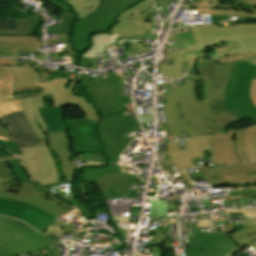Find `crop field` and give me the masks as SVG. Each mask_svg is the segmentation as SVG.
Segmentation results:
<instances>
[{"mask_svg": "<svg viewBox=\"0 0 256 256\" xmlns=\"http://www.w3.org/2000/svg\"><path fill=\"white\" fill-rule=\"evenodd\" d=\"M250 96H251V101L256 106V80H252V85L250 88Z\"/></svg>", "mask_w": 256, "mask_h": 256, "instance_id": "46", "label": "crop field"}, {"mask_svg": "<svg viewBox=\"0 0 256 256\" xmlns=\"http://www.w3.org/2000/svg\"><path fill=\"white\" fill-rule=\"evenodd\" d=\"M0 61H11V58H0Z\"/></svg>", "mask_w": 256, "mask_h": 256, "instance_id": "62", "label": "crop field"}, {"mask_svg": "<svg viewBox=\"0 0 256 256\" xmlns=\"http://www.w3.org/2000/svg\"><path fill=\"white\" fill-rule=\"evenodd\" d=\"M30 64H37L36 61L24 59L23 67H15V59L12 58V66H8L13 72L15 81L13 87L39 83L50 80L47 70L36 72L34 68L28 67Z\"/></svg>", "mask_w": 256, "mask_h": 256, "instance_id": "19", "label": "crop field"}, {"mask_svg": "<svg viewBox=\"0 0 256 256\" xmlns=\"http://www.w3.org/2000/svg\"><path fill=\"white\" fill-rule=\"evenodd\" d=\"M254 156H255V160H256V153H255V155H254Z\"/></svg>", "mask_w": 256, "mask_h": 256, "instance_id": "67", "label": "crop field"}, {"mask_svg": "<svg viewBox=\"0 0 256 256\" xmlns=\"http://www.w3.org/2000/svg\"><path fill=\"white\" fill-rule=\"evenodd\" d=\"M0 197L16 200V201H20V202L30 203V204L37 206L45 211L50 212L58 217H60L61 215L63 216L68 211V210L60 208L46 200L17 194V192L0 190Z\"/></svg>", "mask_w": 256, "mask_h": 256, "instance_id": "23", "label": "crop field"}, {"mask_svg": "<svg viewBox=\"0 0 256 256\" xmlns=\"http://www.w3.org/2000/svg\"><path fill=\"white\" fill-rule=\"evenodd\" d=\"M139 117L142 124L153 122V114H140Z\"/></svg>", "mask_w": 256, "mask_h": 256, "instance_id": "48", "label": "crop field"}, {"mask_svg": "<svg viewBox=\"0 0 256 256\" xmlns=\"http://www.w3.org/2000/svg\"><path fill=\"white\" fill-rule=\"evenodd\" d=\"M1 243H2V241H0V244ZM0 256H18V255L16 253H14L13 251L0 245Z\"/></svg>", "mask_w": 256, "mask_h": 256, "instance_id": "47", "label": "crop field"}, {"mask_svg": "<svg viewBox=\"0 0 256 256\" xmlns=\"http://www.w3.org/2000/svg\"><path fill=\"white\" fill-rule=\"evenodd\" d=\"M229 235L240 247H243L247 243L256 239V227L240 229L230 233Z\"/></svg>", "mask_w": 256, "mask_h": 256, "instance_id": "32", "label": "crop field"}, {"mask_svg": "<svg viewBox=\"0 0 256 256\" xmlns=\"http://www.w3.org/2000/svg\"><path fill=\"white\" fill-rule=\"evenodd\" d=\"M8 163H9V165L12 167V169H13V171H14L16 177H17V179H18L20 182L34 183V182H32L30 179H28V178L24 175V173H23V171H22V169H21V167H20V165H19V163H18L17 160L8 161Z\"/></svg>", "mask_w": 256, "mask_h": 256, "instance_id": "34", "label": "crop field"}, {"mask_svg": "<svg viewBox=\"0 0 256 256\" xmlns=\"http://www.w3.org/2000/svg\"><path fill=\"white\" fill-rule=\"evenodd\" d=\"M209 147L214 165H233L239 164L234 147V130H229L227 135L217 133L208 136Z\"/></svg>", "mask_w": 256, "mask_h": 256, "instance_id": "15", "label": "crop field"}, {"mask_svg": "<svg viewBox=\"0 0 256 256\" xmlns=\"http://www.w3.org/2000/svg\"><path fill=\"white\" fill-rule=\"evenodd\" d=\"M73 214H75L78 219L82 218L81 214L78 211H73Z\"/></svg>", "mask_w": 256, "mask_h": 256, "instance_id": "60", "label": "crop field"}, {"mask_svg": "<svg viewBox=\"0 0 256 256\" xmlns=\"http://www.w3.org/2000/svg\"><path fill=\"white\" fill-rule=\"evenodd\" d=\"M141 0H100L97 11L73 25L75 49L83 53L89 49L90 38L97 33H107L115 25L120 12L133 7ZM91 20V21H89Z\"/></svg>", "mask_w": 256, "mask_h": 256, "instance_id": "5", "label": "crop field"}, {"mask_svg": "<svg viewBox=\"0 0 256 256\" xmlns=\"http://www.w3.org/2000/svg\"><path fill=\"white\" fill-rule=\"evenodd\" d=\"M253 79H256V73H255V75H254V78Z\"/></svg>", "mask_w": 256, "mask_h": 256, "instance_id": "65", "label": "crop field"}, {"mask_svg": "<svg viewBox=\"0 0 256 256\" xmlns=\"http://www.w3.org/2000/svg\"><path fill=\"white\" fill-rule=\"evenodd\" d=\"M0 143L4 144L5 147H7V148H8L11 152H13L14 154L20 153V151H19V149H18L16 143L4 141V140H0Z\"/></svg>", "mask_w": 256, "mask_h": 256, "instance_id": "43", "label": "crop field"}, {"mask_svg": "<svg viewBox=\"0 0 256 256\" xmlns=\"http://www.w3.org/2000/svg\"><path fill=\"white\" fill-rule=\"evenodd\" d=\"M168 154V152L167 151H164V152H161V155H167ZM169 157H170V155H169ZM159 161V163H160V166H161V168L162 169H165V168H169V167H173L174 166V164H173V162H172V160H171V157H170V159H162V160H158ZM176 168V167H175ZM177 170V169H176ZM178 172V171H177Z\"/></svg>", "mask_w": 256, "mask_h": 256, "instance_id": "42", "label": "crop field"}, {"mask_svg": "<svg viewBox=\"0 0 256 256\" xmlns=\"http://www.w3.org/2000/svg\"><path fill=\"white\" fill-rule=\"evenodd\" d=\"M47 229V228H46ZM65 230H63V229H60V228H58L57 226L55 227V228H53V227H49L47 230H45V231H43V233H45V234H49V235H53V236H58V235H60L61 233H63Z\"/></svg>", "mask_w": 256, "mask_h": 256, "instance_id": "44", "label": "crop field"}, {"mask_svg": "<svg viewBox=\"0 0 256 256\" xmlns=\"http://www.w3.org/2000/svg\"><path fill=\"white\" fill-rule=\"evenodd\" d=\"M235 147L242 163L254 161L253 152L256 150V125L235 130Z\"/></svg>", "mask_w": 256, "mask_h": 256, "instance_id": "18", "label": "crop field"}, {"mask_svg": "<svg viewBox=\"0 0 256 256\" xmlns=\"http://www.w3.org/2000/svg\"><path fill=\"white\" fill-rule=\"evenodd\" d=\"M177 219H178V217L171 218V219H168V220L163 221L162 223H163L164 226H165V225H169V224H172V223H176V222H177Z\"/></svg>", "mask_w": 256, "mask_h": 256, "instance_id": "53", "label": "crop field"}, {"mask_svg": "<svg viewBox=\"0 0 256 256\" xmlns=\"http://www.w3.org/2000/svg\"><path fill=\"white\" fill-rule=\"evenodd\" d=\"M171 0H155L156 7H166Z\"/></svg>", "mask_w": 256, "mask_h": 256, "instance_id": "50", "label": "crop field"}, {"mask_svg": "<svg viewBox=\"0 0 256 256\" xmlns=\"http://www.w3.org/2000/svg\"><path fill=\"white\" fill-rule=\"evenodd\" d=\"M44 108H39L40 114L50 132L68 130L62 107H46L45 97L42 96Z\"/></svg>", "mask_w": 256, "mask_h": 256, "instance_id": "22", "label": "crop field"}, {"mask_svg": "<svg viewBox=\"0 0 256 256\" xmlns=\"http://www.w3.org/2000/svg\"><path fill=\"white\" fill-rule=\"evenodd\" d=\"M111 74L107 76L106 81L81 82L89 98L103 116L107 113L123 111L122 103L131 102L128 98L131 96H121L120 79L116 77L113 70ZM138 130H141L138 121H134L130 115L105 119V122L100 125L99 133L110 163H116L123 149L135 138L122 139L121 135Z\"/></svg>", "mask_w": 256, "mask_h": 256, "instance_id": "3", "label": "crop field"}, {"mask_svg": "<svg viewBox=\"0 0 256 256\" xmlns=\"http://www.w3.org/2000/svg\"><path fill=\"white\" fill-rule=\"evenodd\" d=\"M186 29L188 32L168 37L177 41L178 51L168 53L167 57L173 58V66L160 64L161 76L181 78L182 63H188L192 69L199 56H206L213 62L246 59L256 64V24L223 28L192 26Z\"/></svg>", "mask_w": 256, "mask_h": 256, "instance_id": "2", "label": "crop field"}, {"mask_svg": "<svg viewBox=\"0 0 256 256\" xmlns=\"http://www.w3.org/2000/svg\"><path fill=\"white\" fill-rule=\"evenodd\" d=\"M39 43L35 35L32 36H0V56L11 57V50L35 51Z\"/></svg>", "mask_w": 256, "mask_h": 256, "instance_id": "20", "label": "crop field"}, {"mask_svg": "<svg viewBox=\"0 0 256 256\" xmlns=\"http://www.w3.org/2000/svg\"><path fill=\"white\" fill-rule=\"evenodd\" d=\"M68 3L73 7L74 12L78 15V20L82 19L88 13L96 10L99 0H60Z\"/></svg>", "mask_w": 256, "mask_h": 256, "instance_id": "30", "label": "crop field"}, {"mask_svg": "<svg viewBox=\"0 0 256 256\" xmlns=\"http://www.w3.org/2000/svg\"><path fill=\"white\" fill-rule=\"evenodd\" d=\"M0 214L21 219L40 232L48 228L50 225L54 227L57 225L60 228L78 235L74 228L58 221V217L53 216L30 204L0 198Z\"/></svg>", "mask_w": 256, "mask_h": 256, "instance_id": "7", "label": "crop field"}, {"mask_svg": "<svg viewBox=\"0 0 256 256\" xmlns=\"http://www.w3.org/2000/svg\"><path fill=\"white\" fill-rule=\"evenodd\" d=\"M121 34H97L92 36L91 42L92 46L91 48L86 51L85 53L82 54V57H87V58H99L103 59L100 57H97V53H105V48L106 46H112L117 40V38Z\"/></svg>", "mask_w": 256, "mask_h": 256, "instance_id": "26", "label": "crop field"}, {"mask_svg": "<svg viewBox=\"0 0 256 256\" xmlns=\"http://www.w3.org/2000/svg\"><path fill=\"white\" fill-rule=\"evenodd\" d=\"M89 166H98V167H101V166H105V164H98V163H91V162H88V163H86L85 165H82L81 167L84 168V167H89Z\"/></svg>", "mask_w": 256, "mask_h": 256, "instance_id": "55", "label": "crop field"}, {"mask_svg": "<svg viewBox=\"0 0 256 256\" xmlns=\"http://www.w3.org/2000/svg\"><path fill=\"white\" fill-rule=\"evenodd\" d=\"M72 141V153L103 152L96 132L98 123L88 119H66Z\"/></svg>", "mask_w": 256, "mask_h": 256, "instance_id": "12", "label": "crop field"}, {"mask_svg": "<svg viewBox=\"0 0 256 256\" xmlns=\"http://www.w3.org/2000/svg\"><path fill=\"white\" fill-rule=\"evenodd\" d=\"M179 174L188 186L193 185L184 172H181Z\"/></svg>", "mask_w": 256, "mask_h": 256, "instance_id": "52", "label": "crop field"}, {"mask_svg": "<svg viewBox=\"0 0 256 256\" xmlns=\"http://www.w3.org/2000/svg\"><path fill=\"white\" fill-rule=\"evenodd\" d=\"M16 159L15 157L9 156V157H1L0 161H4V160H14Z\"/></svg>", "mask_w": 256, "mask_h": 256, "instance_id": "59", "label": "crop field"}, {"mask_svg": "<svg viewBox=\"0 0 256 256\" xmlns=\"http://www.w3.org/2000/svg\"><path fill=\"white\" fill-rule=\"evenodd\" d=\"M55 43H65L66 48H62V52H74L73 49L71 48V43L69 39H52V40H47V45L50 44H55ZM49 58H54L57 59L58 53H51L48 54Z\"/></svg>", "mask_w": 256, "mask_h": 256, "instance_id": "35", "label": "crop field"}, {"mask_svg": "<svg viewBox=\"0 0 256 256\" xmlns=\"http://www.w3.org/2000/svg\"><path fill=\"white\" fill-rule=\"evenodd\" d=\"M11 62H0V116L23 110L19 100H14L12 92L42 87V83L12 88L13 75L8 67Z\"/></svg>", "mask_w": 256, "mask_h": 256, "instance_id": "13", "label": "crop field"}, {"mask_svg": "<svg viewBox=\"0 0 256 256\" xmlns=\"http://www.w3.org/2000/svg\"><path fill=\"white\" fill-rule=\"evenodd\" d=\"M241 1H243L247 5L256 6V0H241Z\"/></svg>", "mask_w": 256, "mask_h": 256, "instance_id": "56", "label": "crop field"}, {"mask_svg": "<svg viewBox=\"0 0 256 256\" xmlns=\"http://www.w3.org/2000/svg\"><path fill=\"white\" fill-rule=\"evenodd\" d=\"M67 82L68 80H55L44 84V94L53 93L54 106L63 105Z\"/></svg>", "mask_w": 256, "mask_h": 256, "instance_id": "29", "label": "crop field"}, {"mask_svg": "<svg viewBox=\"0 0 256 256\" xmlns=\"http://www.w3.org/2000/svg\"><path fill=\"white\" fill-rule=\"evenodd\" d=\"M239 247L225 234L195 233L186 256H232Z\"/></svg>", "mask_w": 256, "mask_h": 256, "instance_id": "10", "label": "crop field"}, {"mask_svg": "<svg viewBox=\"0 0 256 256\" xmlns=\"http://www.w3.org/2000/svg\"><path fill=\"white\" fill-rule=\"evenodd\" d=\"M256 196V191H248V192H230L231 200L243 199L246 197Z\"/></svg>", "mask_w": 256, "mask_h": 256, "instance_id": "39", "label": "crop field"}, {"mask_svg": "<svg viewBox=\"0 0 256 256\" xmlns=\"http://www.w3.org/2000/svg\"><path fill=\"white\" fill-rule=\"evenodd\" d=\"M73 210H75L74 207H73L68 213H66L65 215L69 214V213H70L71 211H73ZM65 215H64V216H65ZM64 216H63V217H64Z\"/></svg>", "mask_w": 256, "mask_h": 256, "instance_id": "63", "label": "crop field"}, {"mask_svg": "<svg viewBox=\"0 0 256 256\" xmlns=\"http://www.w3.org/2000/svg\"><path fill=\"white\" fill-rule=\"evenodd\" d=\"M45 97H46L47 106H50V105H49V100H52V99H53L52 94L45 95Z\"/></svg>", "mask_w": 256, "mask_h": 256, "instance_id": "58", "label": "crop field"}, {"mask_svg": "<svg viewBox=\"0 0 256 256\" xmlns=\"http://www.w3.org/2000/svg\"><path fill=\"white\" fill-rule=\"evenodd\" d=\"M151 256H159V255H154V254H152Z\"/></svg>", "mask_w": 256, "mask_h": 256, "instance_id": "66", "label": "crop field"}, {"mask_svg": "<svg viewBox=\"0 0 256 256\" xmlns=\"http://www.w3.org/2000/svg\"><path fill=\"white\" fill-rule=\"evenodd\" d=\"M0 121L14 137L19 147L40 145L24 118L23 111L0 117Z\"/></svg>", "mask_w": 256, "mask_h": 256, "instance_id": "16", "label": "crop field"}, {"mask_svg": "<svg viewBox=\"0 0 256 256\" xmlns=\"http://www.w3.org/2000/svg\"><path fill=\"white\" fill-rule=\"evenodd\" d=\"M249 245L256 249V240H254L253 242L249 243Z\"/></svg>", "mask_w": 256, "mask_h": 256, "instance_id": "61", "label": "crop field"}, {"mask_svg": "<svg viewBox=\"0 0 256 256\" xmlns=\"http://www.w3.org/2000/svg\"><path fill=\"white\" fill-rule=\"evenodd\" d=\"M223 175H233L256 171V162L230 166V167H220ZM249 183L256 186V173L248 175Z\"/></svg>", "mask_w": 256, "mask_h": 256, "instance_id": "31", "label": "crop field"}, {"mask_svg": "<svg viewBox=\"0 0 256 256\" xmlns=\"http://www.w3.org/2000/svg\"><path fill=\"white\" fill-rule=\"evenodd\" d=\"M19 183L7 161L0 162V189L17 191Z\"/></svg>", "mask_w": 256, "mask_h": 256, "instance_id": "27", "label": "crop field"}, {"mask_svg": "<svg viewBox=\"0 0 256 256\" xmlns=\"http://www.w3.org/2000/svg\"><path fill=\"white\" fill-rule=\"evenodd\" d=\"M136 179L142 178L136 175L110 174L96 184L105 199H119L126 198L125 191L135 183Z\"/></svg>", "mask_w": 256, "mask_h": 256, "instance_id": "17", "label": "crop field"}, {"mask_svg": "<svg viewBox=\"0 0 256 256\" xmlns=\"http://www.w3.org/2000/svg\"><path fill=\"white\" fill-rule=\"evenodd\" d=\"M25 117L39 139L41 146L20 148L21 155H16L26 174L45 187L58 183L55 164L47 146L44 133H48L37 107H43L41 96L20 100Z\"/></svg>", "mask_w": 256, "mask_h": 256, "instance_id": "4", "label": "crop field"}, {"mask_svg": "<svg viewBox=\"0 0 256 256\" xmlns=\"http://www.w3.org/2000/svg\"><path fill=\"white\" fill-rule=\"evenodd\" d=\"M221 212H226V213H232L240 216H245V217H255L256 218V209H238V210H224Z\"/></svg>", "mask_w": 256, "mask_h": 256, "instance_id": "36", "label": "crop field"}, {"mask_svg": "<svg viewBox=\"0 0 256 256\" xmlns=\"http://www.w3.org/2000/svg\"><path fill=\"white\" fill-rule=\"evenodd\" d=\"M69 202H71L72 204H74V205L78 208V210H79L81 213L84 214V216H85L86 219L93 217V215L91 214V212H90L87 208H85V207L77 200V198H76V199H72V200H70ZM71 203H70V204H71ZM74 205H73V206H74Z\"/></svg>", "mask_w": 256, "mask_h": 256, "instance_id": "40", "label": "crop field"}, {"mask_svg": "<svg viewBox=\"0 0 256 256\" xmlns=\"http://www.w3.org/2000/svg\"><path fill=\"white\" fill-rule=\"evenodd\" d=\"M191 5L196 14L211 16L212 23L228 20V16L255 17L256 20V8L239 0H197Z\"/></svg>", "mask_w": 256, "mask_h": 256, "instance_id": "8", "label": "crop field"}, {"mask_svg": "<svg viewBox=\"0 0 256 256\" xmlns=\"http://www.w3.org/2000/svg\"><path fill=\"white\" fill-rule=\"evenodd\" d=\"M153 236V240H150V245H160L165 244L166 249H170L169 243H162L161 239H165L161 231L153 232L150 237Z\"/></svg>", "mask_w": 256, "mask_h": 256, "instance_id": "37", "label": "crop field"}, {"mask_svg": "<svg viewBox=\"0 0 256 256\" xmlns=\"http://www.w3.org/2000/svg\"><path fill=\"white\" fill-rule=\"evenodd\" d=\"M196 63L200 75L192 71L185 86H167L168 104L163 105L172 135L183 136L185 130L192 139L226 130L241 119L256 121L249 96L255 66L247 61L214 64L203 58Z\"/></svg>", "mask_w": 256, "mask_h": 256, "instance_id": "1", "label": "crop field"}, {"mask_svg": "<svg viewBox=\"0 0 256 256\" xmlns=\"http://www.w3.org/2000/svg\"><path fill=\"white\" fill-rule=\"evenodd\" d=\"M0 135L6 137L10 141H14L12 136L9 134V132L6 130V128L3 126V124L0 122Z\"/></svg>", "mask_w": 256, "mask_h": 256, "instance_id": "49", "label": "crop field"}, {"mask_svg": "<svg viewBox=\"0 0 256 256\" xmlns=\"http://www.w3.org/2000/svg\"><path fill=\"white\" fill-rule=\"evenodd\" d=\"M187 150L180 151L178 142L168 143L167 149L178 171L194 167L191 160L203 157L202 151L210 150L207 136L186 141Z\"/></svg>", "mask_w": 256, "mask_h": 256, "instance_id": "14", "label": "crop field"}, {"mask_svg": "<svg viewBox=\"0 0 256 256\" xmlns=\"http://www.w3.org/2000/svg\"><path fill=\"white\" fill-rule=\"evenodd\" d=\"M57 250H58V248L52 249V247H51L39 254L27 255V256H55Z\"/></svg>", "mask_w": 256, "mask_h": 256, "instance_id": "45", "label": "crop field"}, {"mask_svg": "<svg viewBox=\"0 0 256 256\" xmlns=\"http://www.w3.org/2000/svg\"><path fill=\"white\" fill-rule=\"evenodd\" d=\"M54 158L59 182H73L75 166L71 162V142L68 131L46 134Z\"/></svg>", "mask_w": 256, "mask_h": 256, "instance_id": "11", "label": "crop field"}, {"mask_svg": "<svg viewBox=\"0 0 256 256\" xmlns=\"http://www.w3.org/2000/svg\"><path fill=\"white\" fill-rule=\"evenodd\" d=\"M0 31H16L15 21H0Z\"/></svg>", "mask_w": 256, "mask_h": 256, "instance_id": "41", "label": "crop field"}, {"mask_svg": "<svg viewBox=\"0 0 256 256\" xmlns=\"http://www.w3.org/2000/svg\"><path fill=\"white\" fill-rule=\"evenodd\" d=\"M110 173H120L117 165H110L106 170L86 169L85 180L97 182Z\"/></svg>", "mask_w": 256, "mask_h": 256, "instance_id": "33", "label": "crop field"}, {"mask_svg": "<svg viewBox=\"0 0 256 256\" xmlns=\"http://www.w3.org/2000/svg\"><path fill=\"white\" fill-rule=\"evenodd\" d=\"M9 155H13V154L10 153L9 151H7L6 149L0 147V157L1 156H9Z\"/></svg>", "mask_w": 256, "mask_h": 256, "instance_id": "54", "label": "crop field"}, {"mask_svg": "<svg viewBox=\"0 0 256 256\" xmlns=\"http://www.w3.org/2000/svg\"><path fill=\"white\" fill-rule=\"evenodd\" d=\"M76 87L75 80L72 81L69 89L67 90L64 105L80 107L86 118L99 122L100 117L93 105L85 100L84 97H77L73 95V90Z\"/></svg>", "mask_w": 256, "mask_h": 256, "instance_id": "24", "label": "crop field"}, {"mask_svg": "<svg viewBox=\"0 0 256 256\" xmlns=\"http://www.w3.org/2000/svg\"><path fill=\"white\" fill-rule=\"evenodd\" d=\"M0 139H5V138L0 136ZM5 140H7V139H5Z\"/></svg>", "mask_w": 256, "mask_h": 256, "instance_id": "64", "label": "crop field"}, {"mask_svg": "<svg viewBox=\"0 0 256 256\" xmlns=\"http://www.w3.org/2000/svg\"><path fill=\"white\" fill-rule=\"evenodd\" d=\"M245 225L246 227L255 226V221L245 219Z\"/></svg>", "mask_w": 256, "mask_h": 256, "instance_id": "57", "label": "crop field"}, {"mask_svg": "<svg viewBox=\"0 0 256 256\" xmlns=\"http://www.w3.org/2000/svg\"><path fill=\"white\" fill-rule=\"evenodd\" d=\"M209 223H210V220H201V219H197L196 226H199V227H208V228H209Z\"/></svg>", "mask_w": 256, "mask_h": 256, "instance_id": "51", "label": "crop field"}, {"mask_svg": "<svg viewBox=\"0 0 256 256\" xmlns=\"http://www.w3.org/2000/svg\"><path fill=\"white\" fill-rule=\"evenodd\" d=\"M82 159L107 163L103 153H84Z\"/></svg>", "mask_w": 256, "mask_h": 256, "instance_id": "38", "label": "crop field"}, {"mask_svg": "<svg viewBox=\"0 0 256 256\" xmlns=\"http://www.w3.org/2000/svg\"><path fill=\"white\" fill-rule=\"evenodd\" d=\"M198 170L205 177L206 182L214 186L249 184L247 174L222 176L219 167H198Z\"/></svg>", "mask_w": 256, "mask_h": 256, "instance_id": "21", "label": "crop field"}, {"mask_svg": "<svg viewBox=\"0 0 256 256\" xmlns=\"http://www.w3.org/2000/svg\"><path fill=\"white\" fill-rule=\"evenodd\" d=\"M153 7L152 0H144L132 9H128L118 17V23L113 26L110 33H123L120 37L137 39H157V37L144 36V30H151V23L142 22L144 15ZM139 12V14H137Z\"/></svg>", "mask_w": 256, "mask_h": 256, "instance_id": "9", "label": "crop field"}, {"mask_svg": "<svg viewBox=\"0 0 256 256\" xmlns=\"http://www.w3.org/2000/svg\"><path fill=\"white\" fill-rule=\"evenodd\" d=\"M1 245L19 255L41 252L59 241L43 235L23 222L0 216Z\"/></svg>", "mask_w": 256, "mask_h": 256, "instance_id": "6", "label": "crop field"}, {"mask_svg": "<svg viewBox=\"0 0 256 256\" xmlns=\"http://www.w3.org/2000/svg\"><path fill=\"white\" fill-rule=\"evenodd\" d=\"M18 193L46 199L60 207L66 208L68 210H70L72 208L71 205H69L65 201L55 197L54 195H52L51 193H49L48 191H46L44 188H42L41 186H39L37 184L20 183Z\"/></svg>", "mask_w": 256, "mask_h": 256, "instance_id": "25", "label": "crop field"}, {"mask_svg": "<svg viewBox=\"0 0 256 256\" xmlns=\"http://www.w3.org/2000/svg\"><path fill=\"white\" fill-rule=\"evenodd\" d=\"M49 1L57 5L64 14L60 15L63 21L58 24L57 27L48 28L46 33L70 34L71 25L75 20L76 16L73 14H71L70 16L66 14V11L70 9L66 5L56 2L54 0ZM59 26H61V28H59Z\"/></svg>", "mask_w": 256, "mask_h": 256, "instance_id": "28", "label": "crop field"}]
</instances>
